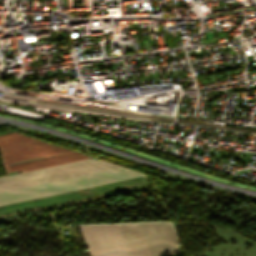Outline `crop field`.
I'll return each instance as SVG.
<instances>
[{
	"mask_svg": "<svg viewBox=\"0 0 256 256\" xmlns=\"http://www.w3.org/2000/svg\"><path fill=\"white\" fill-rule=\"evenodd\" d=\"M0 154L8 172L54 166L88 156L19 133L0 137ZM120 167L90 159L0 178V192ZM143 174L120 167L33 187L0 193V205L100 185ZM149 187L144 176L0 206V218Z\"/></svg>",
	"mask_w": 256,
	"mask_h": 256,
	"instance_id": "crop-field-1",
	"label": "crop field"
},
{
	"mask_svg": "<svg viewBox=\"0 0 256 256\" xmlns=\"http://www.w3.org/2000/svg\"><path fill=\"white\" fill-rule=\"evenodd\" d=\"M130 256H158L179 250L168 222L117 224ZM116 224L79 226L91 256H129Z\"/></svg>",
	"mask_w": 256,
	"mask_h": 256,
	"instance_id": "crop-field-2",
	"label": "crop field"
}]
</instances>
